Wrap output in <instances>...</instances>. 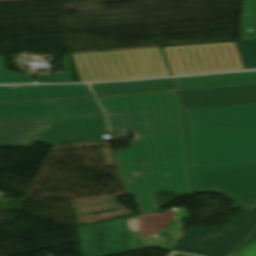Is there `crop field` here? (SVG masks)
<instances>
[{
  "instance_id": "obj_1",
  "label": "crop field",
  "mask_w": 256,
  "mask_h": 256,
  "mask_svg": "<svg viewBox=\"0 0 256 256\" xmlns=\"http://www.w3.org/2000/svg\"><path fill=\"white\" fill-rule=\"evenodd\" d=\"M109 122L113 114L145 111L149 137L114 154L126 188L141 213L157 211L153 193L191 194L186 169L182 107L175 92L98 98ZM144 159L141 163L133 160ZM148 172L136 178L134 172Z\"/></svg>"
},
{
  "instance_id": "obj_18",
  "label": "crop field",
  "mask_w": 256,
  "mask_h": 256,
  "mask_svg": "<svg viewBox=\"0 0 256 256\" xmlns=\"http://www.w3.org/2000/svg\"><path fill=\"white\" fill-rule=\"evenodd\" d=\"M33 82L34 79L32 76L5 70L3 56H0V84Z\"/></svg>"
},
{
  "instance_id": "obj_9",
  "label": "crop field",
  "mask_w": 256,
  "mask_h": 256,
  "mask_svg": "<svg viewBox=\"0 0 256 256\" xmlns=\"http://www.w3.org/2000/svg\"><path fill=\"white\" fill-rule=\"evenodd\" d=\"M178 92L185 108L256 103V85Z\"/></svg>"
},
{
  "instance_id": "obj_14",
  "label": "crop field",
  "mask_w": 256,
  "mask_h": 256,
  "mask_svg": "<svg viewBox=\"0 0 256 256\" xmlns=\"http://www.w3.org/2000/svg\"><path fill=\"white\" fill-rule=\"evenodd\" d=\"M49 101L0 105V118L55 117Z\"/></svg>"
},
{
  "instance_id": "obj_10",
  "label": "crop field",
  "mask_w": 256,
  "mask_h": 256,
  "mask_svg": "<svg viewBox=\"0 0 256 256\" xmlns=\"http://www.w3.org/2000/svg\"><path fill=\"white\" fill-rule=\"evenodd\" d=\"M92 96L86 84L0 86V103Z\"/></svg>"
},
{
  "instance_id": "obj_19",
  "label": "crop field",
  "mask_w": 256,
  "mask_h": 256,
  "mask_svg": "<svg viewBox=\"0 0 256 256\" xmlns=\"http://www.w3.org/2000/svg\"><path fill=\"white\" fill-rule=\"evenodd\" d=\"M65 58L68 74H52L47 76H40L37 77L38 83L72 82L67 55H65Z\"/></svg>"
},
{
  "instance_id": "obj_23",
  "label": "crop field",
  "mask_w": 256,
  "mask_h": 256,
  "mask_svg": "<svg viewBox=\"0 0 256 256\" xmlns=\"http://www.w3.org/2000/svg\"><path fill=\"white\" fill-rule=\"evenodd\" d=\"M230 256H239V255H233V254H231Z\"/></svg>"
},
{
  "instance_id": "obj_5",
  "label": "crop field",
  "mask_w": 256,
  "mask_h": 256,
  "mask_svg": "<svg viewBox=\"0 0 256 256\" xmlns=\"http://www.w3.org/2000/svg\"><path fill=\"white\" fill-rule=\"evenodd\" d=\"M50 102L58 119L38 139L54 143L104 139V115L94 98Z\"/></svg>"
},
{
  "instance_id": "obj_22",
  "label": "crop field",
  "mask_w": 256,
  "mask_h": 256,
  "mask_svg": "<svg viewBox=\"0 0 256 256\" xmlns=\"http://www.w3.org/2000/svg\"><path fill=\"white\" fill-rule=\"evenodd\" d=\"M252 238L256 239V233L253 235V237H252Z\"/></svg>"
},
{
  "instance_id": "obj_16",
  "label": "crop field",
  "mask_w": 256,
  "mask_h": 256,
  "mask_svg": "<svg viewBox=\"0 0 256 256\" xmlns=\"http://www.w3.org/2000/svg\"><path fill=\"white\" fill-rule=\"evenodd\" d=\"M248 27L252 28L251 33L247 32ZM241 38L256 39V0H244Z\"/></svg>"
},
{
  "instance_id": "obj_21",
  "label": "crop field",
  "mask_w": 256,
  "mask_h": 256,
  "mask_svg": "<svg viewBox=\"0 0 256 256\" xmlns=\"http://www.w3.org/2000/svg\"><path fill=\"white\" fill-rule=\"evenodd\" d=\"M167 256H200V255L171 250Z\"/></svg>"
},
{
  "instance_id": "obj_7",
  "label": "crop field",
  "mask_w": 256,
  "mask_h": 256,
  "mask_svg": "<svg viewBox=\"0 0 256 256\" xmlns=\"http://www.w3.org/2000/svg\"><path fill=\"white\" fill-rule=\"evenodd\" d=\"M163 49L172 75L244 69L234 42Z\"/></svg>"
},
{
  "instance_id": "obj_11",
  "label": "crop field",
  "mask_w": 256,
  "mask_h": 256,
  "mask_svg": "<svg viewBox=\"0 0 256 256\" xmlns=\"http://www.w3.org/2000/svg\"><path fill=\"white\" fill-rule=\"evenodd\" d=\"M53 119H0V147L27 146Z\"/></svg>"
},
{
  "instance_id": "obj_17",
  "label": "crop field",
  "mask_w": 256,
  "mask_h": 256,
  "mask_svg": "<svg viewBox=\"0 0 256 256\" xmlns=\"http://www.w3.org/2000/svg\"><path fill=\"white\" fill-rule=\"evenodd\" d=\"M245 69L256 68V41L235 42Z\"/></svg>"
},
{
  "instance_id": "obj_2",
  "label": "crop field",
  "mask_w": 256,
  "mask_h": 256,
  "mask_svg": "<svg viewBox=\"0 0 256 256\" xmlns=\"http://www.w3.org/2000/svg\"><path fill=\"white\" fill-rule=\"evenodd\" d=\"M190 169L256 164V104L186 109Z\"/></svg>"
},
{
  "instance_id": "obj_20",
  "label": "crop field",
  "mask_w": 256,
  "mask_h": 256,
  "mask_svg": "<svg viewBox=\"0 0 256 256\" xmlns=\"http://www.w3.org/2000/svg\"><path fill=\"white\" fill-rule=\"evenodd\" d=\"M235 253L241 256H256V240L250 238Z\"/></svg>"
},
{
  "instance_id": "obj_3",
  "label": "crop field",
  "mask_w": 256,
  "mask_h": 256,
  "mask_svg": "<svg viewBox=\"0 0 256 256\" xmlns=\"http://www.w3.org/2000/svg\"><path fill=\"white\" fill-rule=\"evenodd\" d=\"M185 208L133 216L79 227L84 256H104L159 245L171 249L182 236L181 218H189ZM172 221V225L168 222ZM170 233V237H162Z\"/></svg>"
},
{
  "instance_id": "obj_13",
  "label": "crop field",
  "mask_w": 256,
  "mask_h": 256,
  "mask_svg": "<svg viewBox=\"0 0 256 256\" xmlns=\"http://www.w3.org/2000/svg\"><path fill=\"white\" fill-rule=\"evenodd\" d=\"M96 96L175 90L170 78L90 84Z\"/></svg>"
},
{
  "instance_id": "obj_6",
  "label": "crop field",
  "mask_w": 256,
  "mask_h": 256,
  "mask_svg": "<svg viewBox=\"0 0 256 256\" xmlns=\"http://www.w3.org/2000/svg\"><path fill=\"white\" fill-rule=\"evenodd\" d=\"M256 228V207L242 209L236 218L220 228L189 229L172 249L205 255L226 256Z\"/></svg>"
},
{
  "instance_id": "obj_8",
  "label": "crop field",
  "mask_w": 256,
  "mask_h": 256,
  "mask_svg": "<svg viewBox=\"0 0 256 256\" xmlns=\"http://www.w3.org/2000/svg\"><path fill=\"white\" fill-rule=\"evenodd\" d=\"M194 192L218 191L241 207L256 204V165L190 170Z\"/></svg>"
},
{
  "instance_id": "obj_12",
  "label": "crop field",
  "mask_w": 256,
  "mask_h": 256,
  "mask_svg": "<svg viewBox=\"0 0 256 256\" xmlns=\"http://www.w3.org/2000/svg\"><path fill=\"white\" fill-rule=\"evenodd\" d=\"M178 90L256 84V71L175 78Z\"/></svg>"
},
{
  "instance_id": "obj_15",
  "label": "crop field",
  "mask_w": 256,
  "mask_h": 256,
  "mask_svg": "<svg viewBox=\"0 0 256 256\" xmlns=\"http://www.w3.org/2000/svg\"><path fill=\"white\" fill-rule=\"evenodd\" d=\"M116 123H109L110 130L127 129L137 132V137L148 136L144 112L114 115Z\"/></svg>"
},
{
  "instance_id": "obj_4",
  "label": "crop field",
  "mask_w": 256,
  "mask_h": 256,
  "mask_svg": "<svg viewBox=\"0 0 256 256\" xmlns=\"http://www.w3.org/2000/svg\"><path fill=\"white\" fill-rule=\"evenodd\" d=\"M82 81L169 75L160 47L71 55Z\"/></svg>"
}]
</instances>
